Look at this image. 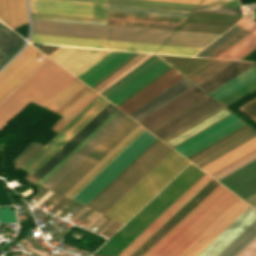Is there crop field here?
Returning <instances> with one entry per match:
<instances>
[{
    "mask_svg": "<svg viewBox=\"0 0 256 256\" xmlns=\"http://www.w3.org/2000/svg\"><path fill=\"white\" fill-rule=\"evenodd\" d=\"M108 103L109 102L99 96L22 168L34 174ZM116 109L115 106L109 103L34 175L29 172V176L26 177V179L37 183ZM127 117L128 116L117 109L44 178H42L38 184L43 186L47 184L53 187Z\"/></svg>",
    "mask_w": 256,
    "mask_h": 256,
    "instance_id": "crop-field-1",
    "label": "crop field"
},
{
    "mask_svg": "<svg viewBox=\"0 0 256 256\" xmlns=\"http://www.w3.org/2000/svg\"><path fill=\"white\" fill-rule=\"evenodd\" d=\"M238 199L220 184L144 256H178Z\"/></svg>",
    "mask_w": 256,
    "mask_h": 256,
    "instance_id": "crop-field-2",
    "label": "crop field"
},
{
    "mask_svg": "<svg viewBox=\"0 0 256 256\" xmlns=\"http://www.w3.org/2000/svg\"><path fill=\"white\" fill-rule=\"evenodd\" d=\"M204 173L190 164L93 256H117Z\"/></svg>",
    "mask_w": 256,
    "mask_h": 256,
    "instance_id": "crop-field-3",
    "label": "crop field"
},
{
    "mask_svg": "<svg viewBox=\"0 0 256 256\" xmlns=\"http://www.w3.org/2000/svg\"><path fill=\"white\" fill-rule=\"evenodd\" d=\"M73 77L49 59L0 105V130L31 100L44 106Z\"/></svg>",
    "mask_w": 256,
    "mask_h": 256,
    "instance_id": "crop-field-4",
    "label": "crop field"
},
{
    "mask_svg": "<svg viewBox=\"0 0 256 256\" xmlns=\"http://www.w3.org/2000/svg\"><path fill=\"white\" fill-rule=\"evenodd\" d=\"M172 150L157 138L87 206L105 214Z\"/></svg>",
    "mask_w": 256,
    "mask_h": 256,
    "instance_id": "crop-field-5",
    "label": "crop field"
},
{
    "mask_svg": "<svg viewBox=\"0 0 256 256\" xmlns=\"http://www.w3.org/2000/svg\"><path fill=\"white\" fill-rule=\"evenodd\" d=\"M188 163L189 161L173 150L106 215L125 223Z\"/></svg>",
    "mask_w": 256,
    "mask_h": 256,
    "instance_id": "crop-field-6",
    "label": "crop field"
},
{
    "mask_svg": "<svg viewBox=\"0 0 256 256\" xmlns=\"http://www.w3.org/2000/svg\"><path fill=\"white\" fill-rule=\"evenodd\" d=\"M256 239V210L251 206L198 256H238ZM239 256H256V240Z\"/></svg>",
    "mask_w": 256,
    "mask_h": 256,
    "instance_id": "crop-field-7",
    "label": "crop field"
},
{
    "mask_svg": "<svg viewBox=\"0 0 256 256\" xmlns=\"http://www.w3.org/2000/svg\"><path fill=\"white\" fill-rule=\"evenodd\" d=\"M156 138L157 137L146 130L80 193H78L73 200L86 205Z\"/></svg>",
    "mask_w": 256,
    "mask_h": 256,
    "instance_id": "crop-field-8",
    "label": "crop field"
},
{
    "mask_svg": "<svg viewBox=\"0 0 256 256\" xmlns=\"http://www.w3.org/2000/svg\"><path fill=\"white\" fill-rule=\"evenodd\" d=\"M97 95L74 77L44 106L64 116L51 129L59 132Z\"/></svg>",
    "mask_w": 256,
    "mask_h": 256,
    "instance_id": "crop-field-9",
    "label": "crop field"
},
{
    "mask_svg": "<svg viewBox=\"0 0 256 256\" xmlns=\"http://www.w3.org/2000/svg\"><path fill=\"white\" fill-rule=\"evenodd\" d=\"M138 125L139 124L128 117L61 182H59L52 191L63 195Z\"/></svg>",
    "mask_w": 256,
    "mask_h": 256,
    "instance_id": "crop-field-10",
    "label": "crop field"
},
{
    "mask_svg": "<svg viewBox=\"0 0 256 256\" xmlns=\"http://www.w3.org/2000/svg\"><path fill=\"white\" fill-rule=\"evenodd\" d=\"M43 55L44 54L29 44L27 48L0 73V103L48 60L46 57L40 61L39 59Z\"/></svg>",
    "mask_w": 256,
    "mask_h": 256,
    "instance_id": "crop-field-11",
    "label": "crop field"
},
{
    "mask_svg": "<svg viewBox=\"0 0 256 256\" xmlns=\"http://www.w3.org/2000/svg\"><path fill=\"white\" fill-rule=\"evenodd\" d=\"M170 68L155 56L102 96L117 106Z\"/></svg>",
    "mask_w": 256,
    "mask_h": 256,
    "instance_id": "crop-field-12",
    "label": "crop field"
},
{
    "mask_svg": "<svg viewBox=\"0 0 256 256\" xmlns=\"http://www.w3.org/2000/svg\"><path fill=\"white\" fill-rule=\"evenodd\" d=\"M220 106L207 95L149 131L163 140Z\"/></svg>",
    "mask_w": 256,
    "mask_h": 256,
    "instance_id": "crop-field-13",
    "label": "crop field"
},
{
    "mask_svg": "<svg viewBox=\"0 0 256 256\" xmlns=\"http://www.w3.org/2000/svg\"><path fill=\"white\" fill-rule=\"evenodd\" d=\"M38 34L106 40V25L32 19Z\"/></svg>",
    "mask_w": 256,
    "mask_h": 256,
    "instance_id": "crop-field-14",
    "label": "crop field"
},
{
    "mask_svg": "<svg viewBox=\"0 0 256 256\" xmlns=\"http://www.w3.org/2000/svg\"><path fill=\"white\" fill-rule=\"evenodd\" d=\"M29 1L31 12L106 18L107 4L61 0Z\"/></svg>",
    "mask_w": 256,
    "mask_h": 256,
    "instance_id": "crop-field-15",
    "label": "crop field"
},
{
    "mask_svg": "<svg viewBox=\"0 0 256 256\" xmlns=\"http://www.w3.org/2000/svg\"><path fill=\"white\" fill-rule=\"evenodd\" d=\"M109 52L61 47L48 56L77 77Z\"/></svg>",
    "mask_w": 256,
    "mask_h": 256,
    "instance_id": "crop-field-16",
    "label": "crop field"
},
{
    "mask_svg": "<svg viewBox=\"0 0 256 256\" xmlns=\"http://www.w3.org/2000/svg\"><path fill=\"white\" fill-rule=\"evenodd\" d=\"M212 178L206 173L195 182L179 199H177L161 216H159L143 233H141L125 250L118 256H130L138 249L153 233H155L169 218H171L186 202H188L203 186Z\"/></svg>",
    "mask_w": 256,
    "mask_h": 256,
    "instance_id": "crop-field-17",
    "label": "crop field"
},
{
    "mask_svg": "<svg viewBox=\"0 0 256 256\" xmlns=\"http://www.w3.org/2000/svg\"><path fill=\"white\" fill-rule=\"evenodd\" d=\"M183 78L172 68L117 107L129 115Z\"/></svg>",
    "mask_w": 256,
    "mask_h": 256,
    "instance_id": "crop-field-18",
    "label": "crop field"
},
{
    "mask_svg": "<svg viewBox=\"0 0 256 256\" xmlns=\"http://www.w3.org/2000/svg\"><path fill=\"white\" fill-rule=\"evenodd\" d=\"M249 206L239 199L179 256H197Z\"/></svg>",
    "mask_w": 256,
    "mask_h": 256,
    "instance_id": "crop-field-19",
    "label": "crop field"
},
{
    "mask_svg": "<svg viewBox=\"0 0 256 256\" xmlns=\"http://www.w3.org/2000/svg\"><path fill=\"white\" fill-rule=\"evenodd\" d=\"M137 54L113 51L78 78L93 88Z\"/></svg>",
    "mask_w": 256,
    "mask_h": 256,
    "instance_id": "crop-field-20",
    "label": "crop field"
},
{
    "mask_svg": "<svg viewBox=\"0 0 256 256\" xmlns=\"http://www.w3.org/2000/svg\"><path fill=\"white\" fill-rule=\"evenodd\" d=\"M173 32L108 25V40L163 44Z\"/></svg>",
    "mask_w": 256,
    "mask_h": 256,
    "instance_id": "crop-field-21",
    "label": "crop field"
},
{
    "mask_svg": "<svg viewBox=\"0 0 256 256\" xmlns=\"http://www.w3.org/2000/svg\"><path fill=\"white\" fill-rule=\"evenodd\" d=\"M205 95L195 86L138 123L149 130Z\"/></svg>",
    "mask_w": 256,
    "mask_h": 256,
    "instance_id": "crop-field-22",
    "label": "crop field"
},
{
    "mask_svg": "<svg viewBox=\"0 0 256 256\" xmlns=\"http://www.w3.org/2000/svg\"><path fill=\"white\" fill-rule=\"evenodd\" d=\"M146 129L138 126L121 143H119L108 155H106L96 166H94L83 178H81L64 196L72 199L93 178H95L108 164H110L123 150H125Z\"/></svg>",
    "mask_w": 256,
    "mask_h": 256,
    "instance_id": "crop-field-23",
    "label": "crop field"
},
{
    "mask_svg": "<svg viewBox=\"0 0 256 256\" xmlns=\"http://www.w3.org/2000/svg\"><path fill=\"white\" fill-rule=\"evenodd\" d=\"M193 86L195 85L185 78L129 116L138 122Z\"/></svg>",
    "mask_w": 256,
    "mask_h": 256,
    "instance_id": "crop-field-24",
    "label": "crop field"
},
{
    "mask_svg": "<svg viewBox=\"0 0 256 256\" xmlns=\"http://www.w3.org/2000/svg\"><path fill=\"white\" fill-rule=\"evenodd\" d=\"M0 20L11 29L28 23L25 0H0Z\"/></svg>",
    "mask_w": 256,
    "mask_h": 256,
    "instance_id": "crop-field-25",
    "label": "crop field"
},
{
    "mask_svg": "<svg viewBox=\"0 0 256 256\" xmlns=\"http://www.w3.org/2000/svg\"><path fill=\"white\" fill-rule=\"evenodd\" d=\"M254 151H256V137L201 169L212 176Z\"/></svg>",
    "mask_w": 256,
    "mask_h": 256,
    "instance_id": "crop-field-26",
    "label": "crop field"
},
{
    "mask_svg": "<svg viewBox=\"0 0 256 256\" xmlns=\"http://www.w3.org/2000/svg\"><path fill=\"white\" fill-rule=\"evenodd\" d=\"M253 64L255 63L233 61L197 85L208 93Z\"/></svg>",
    "mask_w": 256,
    "mask_h": 256,
    "instance_id": "crop-field-27",
    "label": "crop field"
},
{
    "mask_svg": "<svg viewBox=\"0 0 256 256\" xmlns=\"http://www.w3.org/2000/svg\"><path fill=\"white\" fill-rule=\"evenodd\" d=\"M237 25L245 28L248 31H252L256 28V22L247 18L243 17L242 20L237 23ZM256 45V29L220 55L218 58H226V59H236L246 51L251 49ZM247 53V52H246ZM237 60V59H236Z\"/></svg>",
    "mask_w": 256,
    "mask_h": 256,
    "instance_id": "crop-field-28",
    "label": "crop field"
},
{
    "mask_svg": "<svg viewBox=\"0 0 256 256\" xmlns=\"http://www.w3.org/2000/svg\"><path fill=\"white\" fill-rule=\"evenodd\" d=\"M218 36L220 35L175 31L164 44L204 48Z\"/></svg>",
    "mask_w": 256,
    "mask_h": 256,
    "instance_id": "crop-field-29",
    "label": "crop field"
},
{
    "mask_svg": "<svg viewBox=\"0 0 256 256\" xmlns=\"http://www.w3.org/2000/svg\"><path fill=\"white\" fill-rule=\"evenodd\" d=\"M254 79H256V64L209 94L218 101Z\"/></svg>",
    "mask_w": 256,
    "mask_h": 256,
    "instance_id": "crop-field-30",
    "label": "crop field"
},
{
    "mask_svg": "<svg viewBox=\"0 0 256 256\" xmlns=\"http://www.w3.org/2000/svg\"><path fill=\"white\" fill-rule=\"evenodd\" d=\"M30 42L106 48V41L33 34Z\"/></svg>",
    "mask_w": 256,
    "mask_h": 256,
    "instance_id": "crop-field-31",
    "label": "crop field"
},
{
    "mask_svg": "<svg viewBox=\"0 0 256 256\" xmlns=\"http://www.w3.org/2000/svg\"><path fill=\"white\" fill-rule=\"evenodd\" d=\"M109 11L154 14V15H167V16H180V17H187L189 15V13L191 12V11H186V10L150 8V7L114 5V4H109Z\"/></svg>",
    "mask_w": 256,
    "mask_h": 256,
    "instance_id": "crop-field-32",
    "label": "crop field"
},
{
    "mask_svg": "<svg viewBox=\"0 0 256 256\" xmlns=\"http://www.w3.org/2000/svg\"><path fill=\"white\" fill-rule=\"evenodd\" d=\"M238 120L240 119L232 114L174 149L181 153Z\"/></svg>",
    "mask_w": 256,
    "mask_h": 256,
    "instance_id": "crop-field-33",
    "label": "crop field"
},
{
    "mask_svg": "<svg viewBox=\"0 0 256 256\" xmlns=\"http://www.w3.org/2000/svg\"><path fill=\"white\" fill-rule=\"evenodd\" d=\"M254 136L256 132L252 130L194 164L201 168Z\"/></svg>",
    "mask_w": 256,
    "mask_h": 256,
    "instance_id": "crop-field-34",
    "label": "crop field"
},
{
    "mask_svg": "<svg viewBox=\"0 0 256 256\" xmlns=\"http://www.w3.org/2000/svg\"><path fill=\"white\" fill-rule=\"evenodd\" d=\"M109 3L187 9V10H193L197 6L193 4L170 3V2H159V1H148V0H109Z\"/></svg>",
    "mask_w": 256,
    "mask_h": 256,
    "instance_id": "crop-field-35",
    "label": "crop field"
},
{
    "mask_svg": "<svg viewBox=\"0 0 256 256\" xmlns=\"http://www.w3.org/2000/svg\"><path fill=\"white\" fill-rule=\"evenodd\" d=\"M246 123H244L243 121H238L236 123H234L233 125L227 127L226 129L218 132L217 134L211 136L210 138L204 140L203 142L197 144L196 146L188 149L187 151L181 153L182 155H184L186 158L193 155L194 153L198 152L199 150L205 148L206 146L210 145L211 143L217 141L218 139L222 138L223 136L229 134L230 132L234 131L235 129L241 127L242 125H244Z\"/></svg>",
    "mask_w": 256,
    "mask_h": 256,
    "instance_id": "crop-field-36",
    "label": "crop field"
},
{
    "mask_svg": "<svg viewBox=\"0 0 256 256\" xmlns=\"http://www.w3.org/2000/svg\"><path fill=\"white\" fill-rule=\"evenodd\" d=\"M108 49L155 52L161 45L108 41Z\"/></svg>",
    "mask_w": 256,
    "mask_h": 256,
    "instance_id": "crop-field-37",
    "label": "crop field"
},
{
    "mask_svg": "<svg viewBox=\"0 0 256 256\" xmlns=\"http://www.w3.org/2000/svg\"><path fill=\"white\" fill-rule=\"evenodd\" d=\"M242 28L238 26L232 27L230 30H228L225 34H223L221 37H219L217 40H215L212 44H210L208 47H206L203 51H201L196 56L206 57L213 51H215L217 48L222 46L224 43H226L228 40L233 38L235 35H237L239 32H241Z\"/></svg>",
    "mask_w": 256,
    "mask_h": 256,
    "instance_id": "crop-field-38",
    "label": "crop field"
},
{
    "mask_svg": "<svg viewBox=\"0 0 256 256\" xmlns=\"http://www.w3.org/2000/svg\"><path fill=\"white\" fill-rule=\"evenodd\" d=\"M256 90V80L252 81L251 83L247 84L246 86L240 88L239 90L235 91L234 93L230 94L229 96L223 98L222 100L218 101L221 104L224 105V103H227L224 106H229L233 104L234 102L240 100L241 98L247 96L248 94L254 92Z\"/></svg>",
    "mask_w": 256,
    "mask_h": 256,
    "instance_id": "crop-field-39",
    "label": "crop field"
},
{
    "mask_svg": "<svg viewBox=\"0 0 256 256\" xmlns=\"http://www.w3.org/2000/svg\"><path fill=\"white\" fill-rule=\"evenodd\" d=\"M38 143L31 142L23 152L14 160V166L18 170L23 164H25L31 157H33L40 149H42Z\"/></svg>",
    "mask_w": 256,
    "mask_h": 256,
    "instance_id": "crop-field-40",
    "label": "crop field"
},
{
    "mask_svg": "<svg viewBox=\"0 0 256 256\" xmlns=\"http://www.w3.org/2000/svg\"><path fill=\"white\" fill-rule=\"evenodd\" d=\"M200 50L202 49L162 45L157 53L194 56Z\"/></svg>",
    "mask_w": 256,
    "mask_h": 256,
    "instance_id": "crop-field-41",
    "label": "crop field"
},
{
    "mask_svg": "<svg viewBox=\"0 0 256 256\" xmlns=\"http://www.w3.org/2000/svg\"><path fill=\"white\" fill-rule=\"evenodd\" d=\"M145 55H147V54L140 53L139 55H137L135 58H133L131 61H129L126 65H124L122 68H120L117 72H115L113 75H111L109 78H107L104 82H102L100 85H98L93 90H95L96 92L99 91L101 88H103L109 82H111L113 79H115L117 76H119L125 70H127L129 67H131L133 64H135L137 61H139L141 58H143Z\"/></svg>",
    "mask_w": 256,
    "mask_h": 256,
    "instance_id": "crop-field-42",
    "label": "crop field"
},
{
    "mask_svg": "<svg viewBox=\"0 0 256 256\" xmlns=\"http://www.w3.org/2000/svg\"><path fill=\"white\" fill-rule=\"evenodd\" d=\"M195 10L242 15L241 10L235 8L199 5Z\"/></svg>",
    "mask_w": 256,
    "mask_h": 256,
    "instance_id": "crop-field-43",
    "label": "crop field"
},
{
    "mask_svg": "<svg viewBox=\"0 0 256 256\" xmlns=\"http://www.w3.org/2000/svg\"><path fill=\"white\" fill-rule=\"evenodd\" d=\"M201 4L240 8L237 0H204Z\"/></svg>",
    "mask_w": 256,
    "mask_h": 256,
    "instance_id": "crop-field-44",
    "label": "crop field"
},
{
    "mask_svg": "<svg viewBox=\"0 0 256 256\" xmlns=\"http://www.w3.org/2000/svg\"><path fill=\"white\" fill-rule=\"evenodd\" d=\"M241 109H243L245 112L251 115L254 119H256V99L242 106Z\"/></svg>",
    "mask_w": 256,
    "mask_h": 256,
    "instance_id": "crop-field-45",
    "label": "crop field"
},
{
    "mask_svg": "<svg viewBox=\"0 0 256 256\" xmlns=\"http://www.w3.org/2000/svg\"><path fill=\"white\" fill-rule=\"evenodd\" d=\"M159 1H170V2H182V3L199 4L202 0H159Z\"/></svg>",
    "mask_w": 256,
    "mask_h": 256,
    "instance_id": "crop-field-46",
    "label": "crop field"
},
{
    "mask_svg": "<svg viewBox=\"0 0 256 256\" xmlns=\"http://www.w3.org/2000/svg\"><path fill=\"white\" fill-rule=\"evenodd\" d=\"M246 201L248 204H250L251 206L256 204V194L249 197L248 199L244 200Z\"/></svg>",
    "mask_w": 256,
    "mask_h": 256,
    "instance_id": "crop-field-47",
    "label": "crop field"
},
{
    "mask_svg": "<svg viewBox=\"0 0 256 256\" xmlns=\"http://www.w3.org/2000/svg\"><path fill=\"white\" fill-rule=\"evenodd\" d=\"M75 1H88V2H101V3H107V0H75Z\"/></svg>",
    "mask_w": 256,
    "mask_h": 256,
    "instance_id": "crop-field-48",
    "label": "crop field"
},
{
    "mask_svg": "<svg viewBox=\"0 0 256 256\" xmlns=\"http://www.w3.org/2000/svg\"><path fill=\"white\" fill-rule=\"evenodd\" d=\"M252 207H254V208L256 209V205H254V206H252Z\"/></svg>",
    "mask_w": 256,
    "mask_h": 256,
    "instance_id": "crop-field-49",
    "label": "crop field"
},
{
    "mask_svg": "<svg viewBox=\"0 0 256 256\" xmlns=\"http://www.w3.org/2000/svg\"><path fill=\"white\" fill-rule=\"evenodd\" d=\"M1 24V23H0Z\"/></svg>",
    "mask_w": 256,
    "mask_h": 256,
    "instance_id": "crop-field-50",
    "label": "crop field"
}]
</instances>
